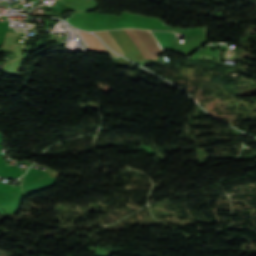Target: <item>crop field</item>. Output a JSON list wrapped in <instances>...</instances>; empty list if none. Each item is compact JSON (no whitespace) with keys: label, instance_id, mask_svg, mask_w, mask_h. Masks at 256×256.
Wrapping results in <instances>:
<instances>
[{"label":"crop field","instance_id":"8a807250","mask_svg":"<svg viewBox=\"0 0 256 256\" xmlns=\"http://www.w3.org/2000/svg\"><path fill=\"white\" fill-rule=\"evenodd\" d=\"M79 34L83 38V40L86 42L89 49L99 50L107 53L105 46L101 43V41L98 38H96L92 34L81 32V31H79Z\"/></svg>","mask_w":256,"mask_h":256}]
</instances>
